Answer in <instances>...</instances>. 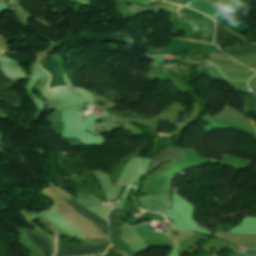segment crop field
Segmentation results:
<instances>
[{
	"instance_id": "crop-field-8",
	"label": "crop field",
	"mask_w": 256,
	"mask_h": 256,
	"mask_svg": "<svg viewBox=\"0 0 256 256\" xmlns=\"http://www.w3.org/2000/svg\"><path fill=\"white\" fill-rule=\"evenodd\" d=\"M12 84H14V81L8 79L0 68V99L9 104L18 103L16 96L10 91Z\"/></svg>"
},
{
	"instance_id": "crop-field-4",
	"label": "crop field",
	"mask_w": 256,
	"mask_h": 256,
	"mask_svg": "<svg viewBox=\"0 0 256 256\" xmlns=\"http://www.w3.org/2000/svg\"><path fill=\"white\" fill-rule=\"evenodd\" d=\"M139 199L146 208L167 216L169 212L170 199L164 194H153L140 197Z\"/></svg>"
},
{
	"instance_id": "crop-field-9",
	"label": "crop field",
	"mask_w": 256,
	"mask_h": 256,
	"mask_svg": "<svg viewBox=\"0 0 256 256\" xmlns=\"http://www.w3.org/2000/svg\"><path fill=\"white\" fill-rule=\"evenodd\" d=\"M43 68L51 75L52 80L49 84V88L53 89L56 86H68L61 78L59 74V64L53 60H49L45 63Z\"/></svg>"
},
{
	"instance_id": "crop-field-1",
	"label": "crop field",
	"mask_w": 256,
	"mask_h": 256,
	"mask_svg": "<svg viewBox=\"0 0 256 256\" xmlns=\"http://www.w3.org/2000/svg\"><path fill=\"white\" fill-rule=\"evenodd\" d=\"M179 12L186 14L183 19L190 24L191 28L194 29L193 33L190 34L189 39L213 44L212 37L215 22L212 19L185 7H181Z\"/></svg>"
},
{
	"instance_id": "crop-field-3",
	"label": "crop field",
	"mask_w": 256,
	"mask_h": 256,
	"mask_svg": "<svg viewBox=\"0 0 256 256\" xmlns=\"http://www.w3.org/2000/svg\"><path fill=\"white\" fill-rule=\"evenodd\" d=\"M230 39L236 41L237 46L240 45H247L248 43L243 40L242 38L232 34L225 28L217 25L216 32H215V41L219 47V45H224V43ZM228 52L226 54L230 56H238V55H249L256 53V46L255 45H248V46H241V47H234V48H227Z\"/></svg>"
},
{
	"instance_id": "crop-field-12",
	"label": "crop field",
	"mask_w": 256,
	"mask_h": 256,
	"mask_svg": "<svg viewBox=\"0 0 256 256\" xmlns=\"http://www.w3.org/2000/svg\"><path fill=\"white\" fill-rule=\"evenodd\" d=\"M124 214L123 208H113L108 215L109 230L111 232L112 228L115 226V219L119 218Z\"/></svg>"
},
{
	"instance_id": "crop-field-15",
	"label": "crop field",
	"mask_w": 256,
	"mask_h": 256,
	"mask_svg": "<svg viewBox=\"0 0 256 256\" xmlns=\"http://www.w3.org/2000/svg\"><path fill=\"white\" fill-rule=\"evenodd\" d=\"M79 114V113H78Z\"/></svg>"
},
{
	"instance_id": "crop-field-2",
	"label": "crop field",
	"mask_w": 256,
	"mask_h": 256,
	"mask_svg": "<svg viewBox=\"0 0 256 256\" xmlns=\"http://www.w3.org/2000/svg\"><path fill=\"white\" fill-rule=\"evenodd\" d=\"M108 239L81 240L78 244H68L59 240V248L55 256H81L104 254Z\"/></svg>"
},
{
	"instance_id": "crop-field-10",
	"label": "crop field",
	"mask_w": 256,
	"mask_h": 256,
	"mask_svg": "<svg viewBox=\"0 0 256 256\" xmlns=\"http://www.w3.org/2000/svg\"><path fill=\"white\" fill-rule=\"evenodd\" d=\"M74 206L77 212L81 213L82 215L90 218L95 225L100 228L106 235H108V226L107 221L99 218L98 216L94 215L93 213L87 211L83 206L77 203L74 199H68Z\"/></svg>"
},
{
	"instance_id": "crop-field-13",
	"label": "crop field",
	"mask_w": 256,
	"mask_h": 256,
	"mask_svg": "<svg viewBox=\"0 0 256 256\" xmlns=\"http://www.w3.org/2000/svg\"><path fill=\"white\" fill-rule=\"evenodd\" d=\"M109 248L111 249V251H113V252H115V253H118V254H120L121 256H123L121 253H119V252H117V251H114L111 246H110ZM109 248H108L107 253H106L104 256H119V255H117V254H115V253H112Z\"/></svg>"
},
{
	"instance_id": "crop-field-7",
	"label": "crop field",
	"mask_w": 256,
	"mask_h": 256,
	"mask_svg": "<svg viewBox=\"0 0 256 256\" xmlns=\"http://www.w3.org/2000/svg\"><path fill=\"white\" fill-rule=\"evenodd\" d=\"M24 236L38 245L42 249L44 256H50L52 254L51 244L45 234L39 231L29 230L24 233Z\"/></svg>"
},
{
	"instance_id": "crop-field-11",
	"label": "crop field",
	"mask_w": 256,
	"mask_h": 256,
	"mask_svg": "<svg viewBox=\"0 0 256 256\" xmlns=\"http://www.w3.org/2000/svg\"><path fill=\"white\" fill-rule=\"evenodd\" d=\"M121 231L118 227H115L110 235V242L114 244V246L125 253L126 256H136V253L125 243L122 242L120 236Z\"/></svg>"
},
{
	"instance_id": "crop-field-14",
	"label": "crop field",
	"mask_w": 256,
	"mask_h": 256,
	"mask_svg": "<svg viewBox=\"0 0 256 256\" xmlns=\"http://www.w3.org/2000/svg\"><path fill=\"white\" fill-rule=\"evenodd\" d=\"M249 92V91H248ZM249 94L253 97V99H254V103H253V109H256V96L253 94V93H251V92H249Z\"/></svg>"
},
{
	"instance_id": "crop-field-5",
	"label": "crop field",
	"mask_w": 256,
	"mask_h": 256,
	"mask_svg": "<svg viewBox=\"0 0 256 256\" xmlns=\"http://www.w3.org/2000/svg\"><path fill=\"white\" fill-rule=\"evenodd\" d=\"M181 158H183V151L170 145V146L164 148L163 150L159 151L154 156H152V158H151L152 163H151L150 167L148 168L147 172L149 173L155 167L169 161L170 159L177 160V159H181Z\"/></svg>"
},
{
	"instance_id": "crop-field-6",
	"label": "crop field",
	"mask_w": 256,
	"mask_h": 256,
	"mask_svg": "<svg viewBox=\"0 0 256 256\" xmlns=\"http://www.w3.org/2000/svg\"><path fill=\"white\" fill-rule=\"evenodd\" d=\"M184 6L191 7L195 10L201 11L212 18L216 17L219 13H221L225 8L215 5L206 0H191L186 3Z\"/></svg>"
}]
</instances>
